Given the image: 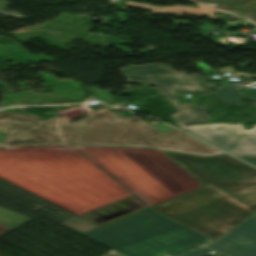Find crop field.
I'll use <instances>...</instances> for the list:
<instances>
[{
	"mask_svg": "<svg viewBox=\"0 0 256 256\" xmlns=\"http://www.w3.org/2000/svg\"><path fill=\"white\" fill-rule=\"evenodd\" d=\"M103 256H123V255H121V254H119V253H117L113 250H110L106 254H104Z\"/></svg>",
	"mask_w": 256,
	"mask_h": 256,
	"instance_id": "crop-field-12",
	"label": "crop field"
},
{
	"mask_svg": "<svg viewBox=\"0 0 256 256\" xmlns=\"http://www.w3.org/2000/svg\"><path fill=\"white\" fill-rule=\"evenodd\" d=\"M243 26H251V25H254L248 21H245V22H242ZM237 27H242V26H237ZM233 28H236V27H233Z\"/></svg>",
	"mask_w": 256,
	"mask_h": 256,
	"instance_id": "crop-field-14",
	"label": "crop field"
},
{
	"mask_svg": "<svg viewBox=\"0 0 256 256\" xmlns=\"http://www.w3.org/2000/svg\"><path fill=\"white\" fill-rule=\"evenodd\" d=\"M174 107L178 112L172 114L176 126L256 166V127L249 131L242 130L243 124L185 127L183 125L206 121L205 110L195 104ZM185 111L192 114L186 115Z\"/></svg>",
	"mask_w": 256,
	"mask_h": 256,
	"instance_id": "crop-field-4",
	"label": "crop field"
},
{
	"mask_svg": "<svg viewBox=\"0 0 256 256\" xmlns=\"http://www.w3.org/2000/svg\"><path fill=\"white\" fill-rule=\"evenodd\" d=\"M85 116L69 123L57 116L43 121L23 113H1L0 131L7 133L2 144L127 145L200 155L222 153L176 129L162 134L138 116L122 118L104 107Z\"/></svg>",
	"mask_w": 256,
	"mask_h": 256,
	"instance_id": "crop-field-2",
	"label": "crop field"
},
{
	"mask_svg": "<svg viewBox=\"0 0 256 256\" xmlns=\"http://www.w3.org/2000/svg\"><path fill=\"white\" fill-rule=\"evenodd\" d=\"M11 213H12V212H11ZM11 213L6 212V211H3V210L0 209V216L6 217V218L11 219V220H14V221L19 222V223H21V224H23V223H25V222H27V221L30 220V219H27V218H24V217H20V216L11 214ZM0 221L12 225L11 227H9V226H7V225H4V224H1V223H0V226L5 227V228H7V229H9V230H11V229H13V228H15V227L21 225V224L15 223V222H13V221H10V220H7V219L1 218V217H0Z\"/></svg>",
	"mask_w": 256,
	"mask_h": 256,
	"instance_id": "crop-field-9",
	"label": "crop field"
},
{
	"mask_svg": "<svg viewBox=\"0 0 256 256\" xmlns=\"http://www.w3.org/2000/svg\"><path fill=\"white\" fill-rule=\"evenodd\" d=\"M163 152L206 187L151 209L214 241L256 212L255 168L229 155Z\"/></svg>",
	"mask_w": 256,
	"mask_h": 256,
	"instance_id": "crop-field-1",
	"label": "crop field"
},
{
	"mask_svg": "<svg viewBox=\"0 0 256 256\" xmlns=\"http://www.w3.org/2000/svg\"><path fill=\"white\" fill-rule=\"evenodd\" d=\"M126 80L130 83L143 86L153 85L159 94H165L171 103L177 102V98L172 91L190 90L200 94H212L213 84H201L198 80H210L209 77L199 75H184L175 72L171 66L160 64H146L143 66H129L120 69ZM193 80L194 83H191Z\"/></svg>",
	"mask_w": 256,
	"mask_h": 256,
	"instance_id": "crop-field-5",
	"label": "crop field"
},
{
	"mask_svg": "<svg viewBox=\"0 0 256 256\" xmlns=\"http://www.w3.org/2000/svg\"><path fill=\"white\" fill-rule=\"evenodd\" d=\"M199 68H202V69H207V70H211V71H226V72H235L233 71L234 68H220V69H212L210 68L208 65H206L205 63L201 62V63H197L196 64Z\"/></svg>",
	"mask_w": 256,
	"mask_h": 256,
	"instance_id": "crop-field-10",
	"label": "crop field"
},
{
	"mask_svg": "<svg viewBox=\"0 0 256 256\" xmlns=\"http://www.w3.org/2000/svg\"><path fill=\"white\" fill-rule=\"evenodd\" d=\"M82 235L125 256H174L213 242L149 208Z\"/></svg>",
	"mask_w": 256,
	"mask_h": 256,
	"instance_id": "crop-field-3",
	"label": "crop field"
},
{
	"mask_svg": "<svg viewBox=\"0 0 256 256\" xmlns=\"http://www.w3.org/2000/svg\"><path fill=\"white\" fill-rule=\"evenodd\" d=\"M240 89V87H234V86H229L226 84H223L221 86V88L214 94V96H216L217 98L224 100L226 102H231V103H237V104H256L255 103H243V102H239L237 100V97H247L251 100H255L256 101V97H250V96H244V95H240L237 94L238 90Z\"/></svg>",
	"mask_w": 256,
	"mask_h": 256,
	"instance_id": "crop-field-8",
	"label": "crop field"
},
{
	"mask_svg": "<svg viewBox=\"0 0 256 256\" xmlns=\"http://www.w3.org/2000/svg\"><path fill=\"white\" fill-rule=\"evenodd\" d=\"M172 23H176V24H189L190 21H176V20H172Z\"/></svg>",
	"mask_w": 256,
	"mask_h": 256,
	"instance_id": "crop-field-13",
	"label": "crop field"
},
{
	"mask_svg": "<svg viewBox=\"0 0 256 256\" xmlns=\"http://www.w3.org/2000/svg\"><path fill=\"white\" fill-rule=\"evenodd\" d=\"M209 250L210 249L206 248V249H202V250L195 251V252L188 253V254L181 255V256H200V255L206 254Z\"/></svg>",
	"mask_w": 256,
	"mask_h": 256,
	"instance_id": "crop-field-11",
	"label": "crop field"
},
{
	"mask_svg": "<svg viewBox=\"0 0 256 256\" xmlns=\"http://www.w3.org/2000/svg\"><path fill=\"white\" fill-rule=\"evenodd\" d=\"M208 247L226 256H256V213Z\"/></svg>",
	"mask_w": 256,
	"mask_h": 256,
	"instance_id": "crop-field-7",
	"label": "crop field"
},
{
	"mask_svg": "<svg viewBox=\"0 0 256 256\" xmlns=\"http://www.w3.org/2000/svg\"><path fill=\"white\" fill-rule=\"evenodd\" d=\"M124 1L126 2V7L143 8L151 14L189 13L219 19L212 16V9L215 7L222 10H232L244 18L256 23V0H192V2L198 6L168 7L152 6L146 3H136L126 0Z\"/></svg>",
	"mask_w": 256,
	"mask_h": 256,
	"instance_id": "crop-field-6",
	"label": "crop field"
},
{
	"mask_svg": "<svg viewBox=\"0 0 256 256\" xmlns=\"http://www.w3.org/2000/svg\"><path fill=\"white\" fill-rule=\"evenodd\" d=\"M241 74H243V75H245V76H252V77H256V75L245 74V73H241Z\"/></svg>",
	"mask_w": 256,
	"mask_h": 256,
	"instance_id": "crop-field-15",
	"label": "crop field"
}]
</instances>
